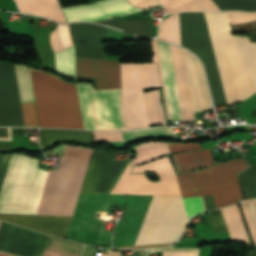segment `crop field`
I'll return each mask as SVG.
<instances>
[{
	"label": "crop field",
	"instance_id": "214f88e0",
	"mask_svg": "<svg viewBox=\"0 0 256 256\" xmlns=\"http://www.w3.org/2000/svg\"><path fill=\"white\" fill-rule=\"evenodd\" d=\"M210 11H220L212 0H201ZM200 0H183L190 11H209ZM167 13L189 11L182 0H159Z\"/></svg>",
	"mask_w": 256,
	"mask_h": 256
},
{
	"label": "crop field",
	"instance_id": "8a807250",
	"mask_svg": "<svg viewBox=\"0 0 256 256\" xmlns=\"http://www.w3.org/2000/svg\"><path fill=\"white\" fill-rule=\"evenodd\" d=\"M91 151L68 146L59 169L49 173L37 168L38 160L12 154L0 194V212L36 214L48 173L37 214L72 216Z\"/></svg>",
	"mask_w": 256,
	"mask_h": 256
},
{
	"label": "crop field",
	"instance_id": "03da06ac",
	"mask_svg": "<svg viewBox=\"0 0 256 256\" xmlns=\"http://www.w3.org/2000/svg\"><path fill=\"white\" fill-rule=\"evenodd\" d=\"M245 256H256V251H252L249 249Z\"/></svg>",
	"mask_w": 256,
	"mask_h": 256
},
{
	"label": "crop field",
	"instance_id": "028f5c9d",
	"mask_svg": "<svg viewBox=\"0 0 256 256\" xmlns=\"http://www.w3.org/2000/svg\"><path fill=\"white\" fill-rule=\"evenodd\" d=\"M231 23L256 19V13L227 12Z\"/></svg>",
	"mask_w": 256,
	"mask_h": 256
},
{
	"label": "crop field",
	"instance_id": "e52e79f7",
	"mask_svg": "<svg viewBox=\"0 0 256 256\" xmlns=\"http://www.w3.org/2000/svg\"><path fill=\"white\" fill-rule=\"evenodd\" d=\"M85 129L124 130L120 89L95 90L77 83Z\"/></svg>",
	"mask_w": 256,
	"mask_h": 256
},
{
	"label": "crop field",
	"instance_id": "dafd665d",
	"mask_svg": "<svg viewBox=\"0 0 256 256\" xmlns=\"http://www.w3.org/2000/svg\"><path fill=\"white\" fill-rule=\"evenodd\" d=\"M135 148L137 150V157L132 160L133 165L153 160L170 153L168 144L161 142H147Z\"/></svg>",
	"mask_w": 256,
	"mask_h": 256
},
{
	"label": "crop field",
	"instance_id": "dd49c442",
	"mask_svg": "<svg viewBox=\"0 0 256 256\" xmlns=\"http://www.w3.org/2000/svg\"><path fill=\"white\" fill-rule=\"evenodd\" d=\"M187 221L182 196H154L134 245L175 242Z\"/></svg>",
	"mask_w": 256,
	"mask_h": 256
},
{
	"label": "crop field",
	"instance_id": "34b2d1b8",
	"mask_svg": "<svg viewBox=\"0 0 256 256\" xmlns=\"http://www.w3.org/2000/svg\"><path fill=\"white\" fill-rule=\"evenodd\" d=\"M183 197L213 194L216 207L234 202L242 197L235 173L247 168L243 159L215 165L209 149L173 155Z\"/></svg>",
	"mask_w": 256,
	"mask_h": 256
},
{
	"label": "crop field",
	"instance_id": "22f410ed",
	"mask_svg": "<svg viewBox=\"0 0 256 256\" xmlns=\"http://www.w3.org/2000/svg\"><path fill=\"white\" fill-rule=\"evenodd\" d=\"M0 125H24L14 65L1 62Z\"/></svg>",
	"mask_w": 256,
	"mask_h": 256
},
{
	"label": "crop field",
	"instance_id": "c035e120",
	"mask_svg": "<svg viewBox=\"0 0 256 256\" xmlns=\"http://www.w3.org/2000/svg\"><path fill=\"white\" fill-rule=\"evenodd\" d=\"M0 140H11L10 128H0Z\"/></svg>",
	"mask_w": 256,
	"mask_h": 256
},
{
	"label": "crop field",
	"instance_id": "b80d0937",
	"mask_svg": "<svg viewBox=\"0 0 256 256\" xmlns=\"http://www.w3.org/2000/svg\"><path fill=\"white\" fill-rule=\"evenodd\" d=\"M134 5L147 9L151 6L158 5V2H157V0H141L137 3H135Z\"/></svg>",
	"mask_w": 256,
	"mask_h": 256
},
{
	"label": "crop field",
	"instance_id": "0bd39190",
	"mask_svg": "<svg viewBox=\"0 0 256 256\" xmlns=\"http://www.w3.org/2000/svg\"><path fill=\"white\" fill-rule=\"evenodd\" d=\"M10 155H0V190L8 166Z\"/></svg>",
	"mask_w": 256,
	"mask_h": 256
},
{
	"label": "crop field",
	"instance_id": "00972430",
	"mask_svg": "<svg viewBox=\"0 0 256 256\" xmlns=\"http://www.w3.org/2000/svg\"><path fill=\"white\" fill-rule=\"evenodd\" d=\"M144 100L150 125L165 124L164 112L161 106L158 89L145 92Z\"/></svg>",
	"mask_w": 256,
	"mask_h": 256
},
{
	"label": "crop field",
	"instance_id": "5866460e",
	"mask_svg": "<svg viewBox=\"0 0 256 256\" xmlns=\"http://www.w3.org/2000/svg\"><path fill=\"white\" fill-rule=\"evenodd\" d=\"M168 144H169L171 153L201 148L200 145H198V143H168Z\"/></svg>",
	"mask_w": 256,
	"mask_h": 256
},
{
	"label": "crop field",
	"instance_id": "3316defc",
	"mask_svg": "<svg viewBox=\"0 0 256 256\" xmlns=\"http://www.w3.org/2000/svg\"><path fill=\"white\" fill-rule=\"evenodd\" d=\"M130 170L129 163L110 194L181 195L175 170L168 156L135 166L132 170V173L152 170L158 174L160 182L151 181L144 174H130Z\"/></svg>",
	"mask_w": 256,
	"mask_h": 256
},
{
	"label": "crop field",
	"instance_id": "733c2abd",
	"mask_svg": "<svg viewBox=\"0 0 256 256\" xmlns=\"http://www.w3.org/2000/svg\"><path fill=\"white\" fill-rule=\"evenodd\" d=\"M20 12L42 15L53 20L65 22L62 9L57 0H14Z\"/></svg>",
	"mask_w": 256,
	"mask_h": 256
},
{
	"label": "crop field",
	"instance_id": "28ad6ade",
	"mask_svg": "<svg viewBox=\"0 0 256 256\" xmlns=\"http://www.w3.org/2000/svg\"><path fill=\"white\" fill-rule=\"evenodd\" d=\"M69 22L94 21L113 18L140 11L126 0H103L94 4L63 8ZM135 34L151 37V20H114L95 21Z\"/></svg>",
	"mask_w": 256,
	"mask_h": 256
},
{
	"label": "crop field",
	"instance_id": "d9b57169",
	"mask_svg": "<svg viewBox=\"0 0 256 256\" xmlns=\"http://www.w3.org/2000/svg\"><path fill=\"white\" fill-rule=\"evenodd\" d=\"M184 57L190 84L194 112L212 108L210 96L199 61L190 52L184 50Z\"/></svg>",
	"mask_w": 256,
	"mask_h": 256
},
{
	"label": "crop field",
	"instance_id": "750c4746",
	"mask_svg": "<svg viewBox=\"0 0 256 256\" xmlns=\"http://www.w3.org/2000/svg\"><path fill=\"white\" fill-rule=\"evenodd\" d=\"M247 222L251 237L256 246V200L239 204Z\"/></svg>",
	"mask_w": 256,
	"mask_h": 256
},
{
	"label": "crop field",
	"instance_id": "d1516ede",
	"mask_svg": "<svg viewBox=\"0 0 256 256\" xmlns=\"http://www.w3.org/2000/svg\"><path fill=\"white\" fill-rule=\"evenodd\" d=\"M127 162H113L105 150H93L80 193L107 194Z\"/></svg>",
	"mask_w": 256,
	"mask_h": 256
},
{
	"label": "crop field",
	"instance_id": "4a817a6b",
	"mask_svg": "<svg viewBox=\"0 0 256 256\" xmlns=\"http://www.w3.org/2000/svg\"><path fill=\"white\" fill-rule=\"evenodd\" d=\"M42 149L60 140L93 142V132L40 129Z\"/></svg>",
	"mask_w": 256,
	"mask_h": 256
},
{
	"label": "crop field",
	"instance_id": "d32e631a",
	"mask_svg": "<svg viewBox=\"0 0 256 256\" xmlns=\"http://www.w3.org/2000/svg\"><path fill=\"white\" fill-rule=\"evenodd\" d=\"M25 126H38L33 102L21 103Z\"/></svg>",
	"mask_w": 256,
	"mask_h": 256
},
{
	"label": "crop field",
	"instance_id": "5a996713",
	"mask_svg": "<svg viewBox=\"0 0 256 256\" xmlns=\"http://www.w3.org/2000/svg\"><path fill=\"white\" fill-rule=\"evenodd\" d=\"M123 106L128 129L148 126L142 88L160 87L156 63L121 64Z\"/></svg>",
	"mask_w": 256,
	"mask_h": 256
},
{
	"label": "crop field",
	"instance_id": "ae1a2a85",
	"mask_svg": "<svg viewBox=\"0 0 256 256\" xmlns=\"http://www.w3.org/2000/svg\"><path fill=\"white\" fill-rule=\"evenodd\" d=\"M50 42L53 47V51L63 50L72 44L71 36L69 33L67 24H58L57 29L52 31Z\"/></svg>",
	"mask_w": 256,
	"mask_h": 256
},
{
	"label": "crop field",
	"instance_id": "d3111659",
	"mask_svg": "<svg viewBox=\"0 0 256 256\" xmlns=\"http://www.w3.org/2000/svg\"><path fill=\"white\" fill-rule=\"evenodd\" d=\"M248 199L256 198V164L238 175Z\"/></svg>",
	"mask_w": 256,
	"mask_h": 256
},
{
	"label": "crop field",
	"instance_id": "e1f06a70",
	"mask_svg": "<svg viewBox=\"0 0 256 256\" xmlns=\"http://www.w3.org/2000/svg\"><path fill=\"white\" fill-rule=\"evenodd\" d=\"M95 140H122L119 132H94Z\"/></svg>",
	"mask_w": 256,
	"mask_h": 256
},
{
	"label": "crop field",
	"instance_id": "d8731c3e",
	"mask_svg": "<svg viewBox=\"0 0 256 256\" xmlns=\"http://www.w3.org/2000/svg\"><path fill=\"white\" fill-rule=\"evenodd\" d=\"M182 46L194 52L204 64L214 104H227L203 13L180 14Z\"/></svg>",
	"mask_w": 256,
	"mask_h": 256
},
{
	"label": "crop field",
	"instance_id": "ac0d7876",
	"mask_svg": "<svg viewBox=\"0 0 256 256\" xmlns=\"http://www.w3.org/2000/svg\"><path fill=\"white\" fill-rule=\"evenodd\" d=\"M204 14L227 102L256 94V43L232 36L226 12Z\"/></svg>",
	"mask_w": 256,
	"mask_h": 256
},
{
	"label": "crop field",
	"instance_id": "a9b5d70f",
	"mask_svg": "<svg viewBox=\"0 0 256 256\" xmlns=\"http://www.w3.org/2000/svg\"><path fill=\"white\" fill-rule=\"evenodd\" d=\"M157 39L181 46L179 14L172 15L160 23Z\"/></svg>",
	"mask_w": 256,
	"mask_h": 256
},
{
	"label": "crop field",
	"instance_id": "c21b1889",
	"mask_svg": "<svg viewBox=\"0 0 256 256\" xmlns=\"http://www.w3.org/2000/svg\"><path fill=\"white\" fill-rule=\"evenodd\" d=\"M106 256H122L121 252H113L110 250H107Z\"/></svg>",
	"mask_w": 256,
	"mask_h": 256
},
{
	"label": "crop field",
	"instance_id": "1d83c4d3",
	"mask_svg": "<svg viewBox=\"0 0 256 256\" xmlns=\"http://www.w3.org/2000/svg\"><path fill=\"white\" fill-rule=\"evenodd\" d=\"M163 251V256H198L197 248H173V246L163 249H151L148 253Z\"/></svg>",
	"mask_w": 256,
	"mask_h": 256
},
{
	"label": "crop field",
	"instance_id": "412701ff",
	"mask_svg": "<svg viewBox=\"0 0 256 256\" xmlns=\"http://www.w3.org/2000/svg\"><path fill=\"white\" fill-rule=\"evenodd\" d=\"M29 71L40 126L84 129L76 85L45 72Z\"/></svg>",
	"mask_w": 256,
	"mask_h": 256
},
{
	"label": "crop field",
	"instance_id": "120bbe31",
	"mask_svg": "<svg viewBox=\"0 0 256 256\" xmlns=\"http://www.w3.org/2000/svg\"><path fill=\"white\" fill-rule=\"evenodd\" d=\"M183 199H184L188 218L205 211L201 196L188 197Z\"/></svg>",
	"mask_w": 256,
	"mask_h": 256
},
{
	"label": "crop field",
	"instance_id": "f4fd0767",
	"mask_svg": "<svg viewBox=\"0 0 256 256\" xmlns=\"http://www.w3.org/2000/svg\"><path fill=\"white\" fill-rule=\"evenodd\" d=\"M151 43L153 47V62H158V66H159V72H160V78H161V84H162V90H163V96H164L168 120H170V118L171 120H182V118L183 120H195L194 113L192 110V104H191V98H190V92H189V86L187 81L182 48L170 44L176 82H177V88H178V94H179V100H180V106H181V112H182V118H181L170 46L169 44L157 41L160 60H161V66H162V72H163V78L165 83L166 95L168 100L169 112H170V118H169V112H168V106L166 101L161 66L159 61L157 43H156V40H152Z\"/></svg>",
	"mask_w": 256,
	"mask_h": 256
},
{
	"label": "crop field",
	"instance_id": "eef30255",
	"mask_svg": "<svg viewBox=\"0 0 256 256\" xmlns=\"http://www.w3.org/2000/svg\"><path fill=\"white\" fill-rule=\"evenodd\" d=\"M15 67L21 102L34 101L28 68L17 64Z\"/></svg>",
	"mask_w": 256,
	"mask_h": 256
},
{
	"label": "crop field",
	"instance_id": "bc2a9ffb",
	"mask_svg": "<svg viewBox=\"0 0 256 256\" xmlns=\"http://www.w3.org/2000/svg\"><path fill=\"white\" fill-rule=\"evenodd\" d=\"M1 222V221H0ZM82 245L48 235V244L39 256H80ZM0 256H13L1 253Z\"/></svg>",
	"mask_w": 256,
	"mask_h": 256
},
{
	"label": "crop field",
	"instance_id": "bd1437ed",
	"mask_svg": "<svg viewBox=\"0 0 256 256\" xmlns=\"http://www.w3.org/2000/svg\"><path fill=\"white\" fill-rule=\"evenodd\" d=\"M76 57L105 58L103 43L75 45Z\"/></svg>",
	"mask_w": 256,
	"mask_h": 256
},
{
	"label": "crop field",
	"instance_id": "cbeb9de0",
	"mask_svg": "<svg viewBox=\"0 0 256 256\" xmlns=\"http://www.w3.org/2000/svg\"><path fill=\"white\" fill-rule=\"evenodd\" d=\"M76 79H96V89L120 88L119 60L76 58Z\"/></svg>",
	"mask_w": 256,
	"mask_h": 256
},
{
	"label": "crop field",
	"instance_id": "5142ce71",
	"mask_svg": "<svg viewBox=\"0 0 256 256\" xmlns=\"http://www.w3.org/2000/svg\"><path fill=\"white\" fill-rule=\"evenodd\" d=\"M72 217L0 213V219L65 238Z\"/></svg>",
	"mask_w": 256,
	"mask_h": 256
},
{
	"label": "crop field",
	"instance_id": "4177f3b9",
	"mask_svg": "<svg viewBox=\"0 0 256 256\" xmlns=\"http://www.w3.org/2000/svg\"><path fill=\"white\" fill-rule=\"evenodd\" d=\"M124 141L145 139L151 137H176L178 134H172L171 127H158L137 131L122 132Z\"/></svg>",
	"mask_w": 256,
	"mask_h": 256
},
{
	"label": "crop field",
	"instance_id": "b54c1fbb",
	"mask_svg": "<svg viewBox=\"0 0 256 256\" xmlns=\"http://www.w3.org/2000/svg\"><path fill=\"white\" fill-rule=\"evenodd\" d=\"M129 2H131L132 4L139 1V0H128Z\"/></svg>",
	"mask_w": 256,
	"mask_h": 256
},
{
	"label": "crop field",
	"instance_id": "92a150f3",
	"mask_svg": "<svg viewBox=\"0 0 256 256\" xmlns=\"http://www.w3.org/2000/svg\"><path fill=\"white\" fill-rule=\"evenodd\" d=\"M221 210L224 215L231 237L250 243L238 205H232L226 208H222Z\"/></svg>",
	"mask_w": 256,
	"mask_h": 256
},
{
	"label": "crop field",
	"instance_id": "730fd06b",
	"mask_svg": "<svg viewBox=\"0 0 256 256\" xmlns=\"http://www.w3.org/2000/svg\"><path fill=\"white\" fill-rule=\"evenodd\" d=\"M57 71L75 77L74 46L55 53Z\"/></svg>",
	"mask_w": 256,
	"mask_h": 256
}]
</instances>
